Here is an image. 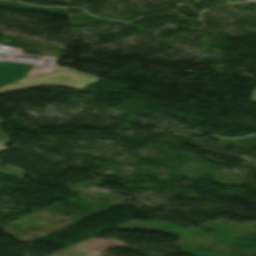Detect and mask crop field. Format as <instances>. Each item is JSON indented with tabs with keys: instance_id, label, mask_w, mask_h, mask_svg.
<instances>
[{
	"instance_id": "ac0d7876",
	"label": "crop field",
	"mask_w": 256,
	"mask_h": 256,
	"mask_svg": "<svg viewBox=\"0 0 256 256\" xmlns=\"http://www.w3.org/2000/svg\"><path fill=\"white\" fill-rule=\"evenodd\" d=\"M32 65L0 61V86L23 77Z\"/></svg>"
},
{
	"instance_id": "8a807250",
	"label": "crop field",
	"mask_w": 256,
	"mask_h": 256,
	"mask_svg": "<svg viewBox=\"0 0 256 256\" xmlns=\"http://www.w3.org/2000/svg\"><path fill=\"white\" fill-rule=\"evenodd\" d=\"M99 79L101 78L57 66L47 69H32L24 79L0 88V94L15 89L41 85H56L79 89Z\"/></svg>"
},
{
	"instance_id": "34b2d1b8",
	"label": "crop field",
	"mask_w": 256,
	"mask_h": 256,
	"mask_svg": "<svg viewBox=\"0 0 256 256\" xmlns=\"http://www.w3.org/2000/svg\"><path fill=\"white\" fill-rule=\"evenodd\" d=\"M2 121L3 120L0 119V125H1ZM9 143H10V141H9L7 134L3 130L0 129V147L5 146Z\"/></svg>"
},
{
	"instance_id": "412701ff",
	"label": "crop field",
	"mask_w": 256,
	"mask_h": 256,
	"mask_svg": "<svg viewBox=\"0 0 256 256\" xmlns=\"http://www.w3.org/2000/svg\"><path fill=\"white\" fill-rule=\"evenodd\" d=\"M249 102L256 103V89H255V91H254V93H253V95H252V97H251Z\"/></svg>"
}]
</instances>
